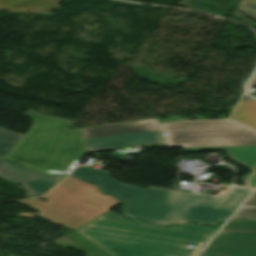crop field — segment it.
Instances as JSON below:
<instances>
[{
  "label": "crop field",
  "instance_id": "214f88e0",
  "mask_svg": "<svg viewBox=\"0 0 256 256\" xmlns=\"http://www.w3.org/2000/svg\"><path fill=\"white\" fill-rule=\"evenodd\" d=\"M244 1L251 2V3L256 4V0H244Z\"/></svg>",
  "mask_w": 256,
  "mask_h": 256
},
{
  "label": "crop field",
  "instance_id": "5a996713",
  "mask_svg": "<svg viewBox=\"0 0 256 256\" xmlns=\"http://www.w3.org/2000/svg\"><path fill=\"white\" fill-rule=\"evenodd\" d=\"M159 131L84 140L85 153L162 142Z\"/></svg>",
  "mask_w": 256,
  "mask_h": 256
},
{
  "label": "crop field",
  "instance_id": "dafd665d",
  "mask_svg": "<svg viewBox=\"0 0 256 256\" xmlns=\"http://www.w3.org/2000/svg\"><path fill=\"white\" fill-rule=\"evenodd\" d=\"M1 160V159H0Z\"/></svg>",
  "mask_w": 256,
  "mask_h": 256
},
{
  "label": "crop field",
  "instance_id": "22f410ed",
  "mask_svg": "<svg viewBox=\"0 0 256 256\" xmlns=\"http://www.w3.org/2000/svg\"><path fill=\"white\" fill-rule=\"evenodd\" d=\"M21 138L20 134L0 128V157L4 158Z\"/></svg>",
  "mask_w": 256,
  "mask_h": 256
},
{
  "label": "crop field",
  "instance_id": "d8731c3e",
  "mask_svg": "<svg viewBox=\"0 0 256 256\" xmlns=\"http://www.w3.org/2000/svg\"><path fill=\"white\" fill-rule=\"evenodd\" d=\"M71 175L96 184L102 193L113 195L121 203L144 190V188L117 182L110 177L108 172L86 166L76 168Z\"/></svg>",
  "mask_w": 256,
  "mask_h": 256
},
{
  "label": "crop field",
  "instance_id": "34b2d1b8",
  "mask_svg": "<svg viewBox=\"0 0 256 256\" xmlns=\"http://www.w3.org/2000/svg\"><path fill=\"white\" fill-rule=\"evenodd\" d=\"M23 115L34 123L5 159L42 172L71 171L84 154L82 129L66 130L73 121L33 110Z\"/></svg>",
  "mask_w": 256,
  "mask_h": 256
},
{
  "label": "crop field",
  "instance_id": "bc2a9ffb",
  "mask_svg": "<svg viewBox=\"0 0 256 256\" xmlns=\"http://www.w3.org/2000/svg\"><path fill=\"white\" fill-rule=\"evenodd\" d=\"M145 148L161 147V144L143 146Z\"/></svg>",
  "mask_w": 256,
  "mask_h": 256
},
{
  "label": "crop field",
  "instance_id": "ac0d7876",
  "mask_svg": "<svg viewBox=\"0 0 256 256\" xmlns=\"http://www.w3.org/2000/svg\"><path fill=\"white\" fill-rule=\"evenodd\" d=\"M251 190L231 188L224 194L210 196L177 192L151 186L123 202L125 217L158 225L194 221L199 225L225 222Z\"/></svg>",
  "mask_w": 256,
  "mask_h": 256
},
{
  "label": "crop field",
  "instance_id": "5142ce71",
  "mask_svg": "<svg viewBox=\"0 0 256 256\" xmlns=\"http://www.w3.org/2000/svg\"><path fill=\"white\" fill-rule=\"evenodd\" d=\"M237 9L256 20V5L242 1Z\"/></svg>",
  "mask_w": 256,
  "mask_h": 256
},
{
  "label": "crop field",
  "instance_id": "28ad6ade",
  "mask_svg": "<svg viewBox=\"0 0 256 256\" xmlns=\"http://www.w3.org/2000/svg\"><path fill=\"white\" fill-rule=\"evenodd\" d=\"M157 120H144L83 128L84 139L159 130Z\"/></svg>",
  "mask_w": 256,
  "mask_h": 256
},
{
  "label": "crop field",
  "instance_id": "4a817a6b",
  "mask_svg": "<svg viewBox=\"0 0 256 256\" xmlns=\"http://www.w3.org/2000/svg\"><path fill=\"white\" fill-rule=\"evenodd\" d=\"M240 104L248 106V107L256 110V101L255 100L249 99L246 101H240Z\"/></svg>",
  "mask_w": 256,
  "mask_h": 256
},
{
  "label": "crop field",
  "instance_id": "3316defc",
  "mask_svg": "<svg viewBox=\"0 0 256 256\" xmlns=\"http://www.w3.org/2000/svg\"><path fill=\"white\" fill-rule=\"evenodd\" d=\"M185 151L195 152L197 150H226L227 157L231 160L251 169V173L245 175L240 180L244 185L240 187L254 188L256 186V146H228V147H209V148H181Z\"/></svg>",
  "mask_w": 256,
  "mask_h": 256
},
{
  "label": "crop field",
  "instance_id": "412701ff",
  "mask_svg": "<svg viewBox=\"0 0 256 256\" xmlns=\"http://www.w3.org/2000/svg\"><path fill=\"white\" fill-rule=\"evenodd\" d=\"M42 199L19 201L27 204L38 214L19 213L18 217L38 216L55 225H65L73 230L119 205L112 196L102 195L95 185L68 176Z\"/></svg>",
  "mask_w": 256,
  "mask_h": 256
},
{
  "label": "crop field",
  "instance_id": "733c2abd",
  "mask_svg": "<svg viewBox=\"0 0 256 256\" xmlns=\"http://www.w3.org/2000/svg\"><path fill=\"white\" fill-rule=\"evenodd\" d=\"M243 206H256V191L252 196L245 202Z\"/></svg>",
  "mask_w": 256,
  "mask_h": 256
},
{
  "label": "crop field",
  "instance_id": "d1516ede",
  "mask_svg": "<svg viewBox=\"0 0 256 256\" xmlns=\"http://www.w3.org/2000/svg\"><path fill=\"white\" fill-rule=\"evenodd\" d=\"M63 0H0V9L51 14Z\"/></svg>",
  "mask_w": 256,
  "mask_h": 256
},
{
  "label": "crop field",
  "instance_id": "cbeb9de0",
  "mask_svg": "<svg viewBox=\"0 0 256 256\" xmlns=\"http://www.w3.org/2000/svg\"><path fill=\"white\" fill-rule=\"evenodd\" d=\"M231 119L256 128V111L240 104L237 105Z\"/></svg>",
  "mask_w": 256,
  "mask_h": 256
},
{
  "label": "crop field",
  "instance_id": "d9b57169",
  "mask_svg": "<svg viewBox=\"0 0 256 256\" xmlns=\"http://www.w3.org/2000/svg\"><path fill=\"white\" fill-rule=\"evenodd\" d=\"M232 219H256V208H241Z\"/></svg>",
  "mask_w": 256,
  "mask_h": 256
},
{
  "label": "crop field",
  "instance_id": "8a807250",
  "mask_svg": "<svg viewBox=\"0 0 256 256\" xmlns=\"http://www.w3.org/2000/svg\"><path fill=\"white\" fill-rule=\"evenodd\" d=\"M220 225L216 228L192 224L158 227L123 219L108 211L74 233L110 256H195ZM186 244L195 246L185 247Z\"/></svg>",
  "mask_w": 256,
  "mask_h": 256
},
{
  "label": "crop field",
  "instance_id": "dd49c442",
  "mask_svg": "<svg viewBox=\"0 0 256 256\" xmlns=\"http://www.w3.org/2000/svg\"><path fill=\"white\" fill-rule=\"evenodd\" d=\"M199 256H256V221L226 225Z\"/></svg>",
  "mask_w": 256,
  "mask_h": 256
},
{
  "label": "crop field",
  "instance_id": "e52e79f7",
  "mask_svg": "<svg viewBox=\"0 0 256 256\" xmlns=\"http://www.w3.org/2000/svg\"><path fill=\"white\" fill-rule=\"evenodd\" d=\"M64 176L41 174L5 160L0 163V177L22 185L28 196L44 194Z\"/></svg>",
  "mask_w": 256,
  "mask_h": 256
},
{
  "label": "crop field",
  "instance_id": "f4fd0767",
  "mask_svg": "<svg viewBox=\"0 0 256 256\" xmlns=\"http://www.w3.org/2000/svg\"><path fill=\"white\" fill-rule=\"evenodd\" d=\"M166 144L174 147L256 145V129L233 121H185L161 124Z\"/></svg>",
  "mask_w": 256,
  "mask_h": 256
},
{
  "label": "crop field",
  "instance_id": "92a150f3",
  "mask_svg": "<svg viewBox=\"0 0 256 256\" xmlns=\"http://www.w3.org/2000/svg\"><path fill=\"white\" fill-rule=\"evenodd\" d=\"M252 80H255L256 81V74H255V76L253 77V79Z\"/></svg>",
  "mask_w": 256,
  "mask_h": 256
}]
</instances>
